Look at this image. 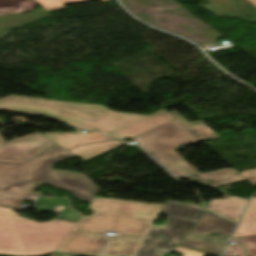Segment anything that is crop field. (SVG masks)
Instances as JSON below:
<instances>
[{
	"label": "crop field",
	"mask_w": 256,
	"mask_h": 256,
	"mask_svg": "<svg viewBox=\"0 0 256 256\" xmlns=\"http://www.w3.org/2000/svg\"><path fill=\"white\" fill-rule=\"evenodd\" d=\"M95 212L82 217L55 251L100 256L106 232L109 239L104 256H135L163 205L95 198Z\"/></svg>",
	"instance_id": "crop-field-1"
},
{
	"label": "crop field",
	"mask_w": 256,
	"mask_h": 256,
	"mask_svg": "<svg viewBox=\"0 0 256 256\" xmlns=\"http://www.w3.org/2000/svg\"><path fill=\"white\" fill-rule=\"evenodd\" d=\"M0 110L40 115L119 139L134 138L175 119L163 109L150 116H143L114 112L99 105L16 95L0 99Z\"/></svg>",
	"instance_id": "crop-field-2"
},
{
	"label": "crop field",
	"mask_w": 256,
	"mask_h": 256,
	"mask_svg": "<svg viewBox=\"0 0 256 256\" xmlns=\"http://www.w3.org/2000/svg\"><path fill=\"white\" fill-rule=\"evenodd\" d=\"M58 144L22 164L0 163V206L17 209L30 200L35 184H51L92 202L97 187L83 174L52 169L53 163L74 158Z\"/></svg>",
	"instance_id": "crop-field-3"
},
{
	"label": "crop field",
	"mask_w": 256,
	"mask_h": 256,
	"mask_svg": "<svg viewBox=\"0 0 256 256\" xmlns=\"http://www.w3.org/2000/svg\"><path fill=\"white\" fill-rule=\"evenodd\" d=\"M192 134L175 119L132 140L177 179L189 177L213 187L247 180L234 169L200 175L174 151L185 144L199 141Z\"/></svg>",
	"instance_id": "crop-field-4"
},
{
	"label": "crop field",
	"mask_w": 256,
	"mask_h": 256,
	"mask_svg": "<svg viewBox=\"0 0 256 256\" xmlns=\"http://www.w3.org/2000/svg\"><path fill=\"white\" fill-rule=\"evenodd\" d=\"M75 224L62 220L38 223L17 216L12 209L0 207V254H48L56 249Z\"/></svg>",
	"instance_id": "crop-field-5"
},
{
	"label": "crop field",
	"mask_w": 256,
	"mask_h": 256,
	"mask_svg": "<svg viewBox=\"0 0 256 256\" xmlns=\"http://www.w3.org/2000/svg\"><path fill=\"white\" fill-rule=\"evenodd\" d=\"M207 210L194 204L167 201L161 214L168 216L164 226H152L136 256H162L200 220Z\"/></svg>",
	"instance_id": "crop-field-6"
},
{
	"label": "crop field",
	"mask_w": 256,
	"mask_h": 256,
	"mask_svg": "<svg viewBox=\"0 0 256 256\" xmlns=\"http://www.w3.org/2000/svg\"><path fill=\"white\" fill-rule=\"evenodd\" d=\"M234 227L235 224L213 213H207L173 252L185 256H204L207 253L221 256ZM214 232L222 236H209Z\"/></svg>",
	"instance_id": "crop-field-7"
},
{
	"label": "crop field",
	"mask_w": 256,
	"mask_h": 256,
	"mask_svg": "<svg viewBox=\"0 0 256 256\" xmlns=\"http://www.w3.org/2000/svg\"><path fill=\"white\" fill-rule=\"evenodd\" d=\"M52 143L54 142L38 133L8 143L0 138V161L24 162Z\"/></svg>",
	"instance_id": "crop-field-8"
},
{
	"label": "crop field",
	"mask_w": 256,
	"mask_h": 256,
	"mask_svg": "<svg viewBox=\"0 0 256 256\" xmlns=\"http://www.w3.org/2000/svg\"><path fill=\"white\" fill-rule=\"evenodd\" d=\"M46 137L58 143L66 150H69L77 145L113 140V138L95 133H52L46 134Z\"/></svg>",
	"instance_id": "crop-field-9"
},
{
	"label": "crop field",
	"mask_w": 256,
	"mask_h": 256,
	"mask_svg": "<svg viewBox=\"0 0 256 256\" xmlns=\"http://www.w3.org/2000/svg\"><path fill=\"white\" fill-rule=\"evenodd\" d=\"M249 200L229 196L228 199L212 200L208 209L238 222Z\"/></svg>",
	"instance_id": "crop-field-10"
},
{
	"label": "crop field",
	"mask_w": 256,
	"mask_h": 256,
	"mask_svg": "<svg viewBox=\"0 0 256 256\" xmlns=\"http://www.w3.org/2000/svg\"><path fill=\"white\" fill-rule=\"evenodd\" d=\"M68 200V198H37L36 208L37 210L61 213L58 218L78 222L82 216L70 208L73 203L68 202ZM56 205L66 207L62 212L53 211Z\"/></svg>",
	"instance_id": "crop-field-11"
},
{
	"label": "crop field",
	"mask_w": 256,
	"mask_h": 256,
	"mask_svg": "<svg viewBox=\"0 0 256 256\" xmlns=\"http://www.w3.org/2000/svg\"><path fill=\"white\" fill-rule=\"evenodd\" d=\"M123 144H124L123 142H120L118 140H113V141L78 146L69 151L83 160H89L107 151L115 149Z\"/></svg>",
	"instance_id": "crop-field-12"
},
{
	"label": "crop field",
	"mask_w": 256,
	"mask_h": 256,
	"mask_svg": "<svg viewBox=\"0 0 256 256\" xmlns=\"http://www.w3.org/2000/svg\"><path fill=\"white\" fill-rule=\"evenodd\" d=\"M170 114L201 141L219 138L214 132H212L213 130L211 129V131L202 121L189 123L176 111H172Z\"/></svg>",
	"instance_id": "crop-field-13"
},
{
	"label": "crop field",
	"mask_w": 256,
	"mask_h": 256,
	"mask_svg": "<svg viewBox=\"0 0 256 256\" xmlns=\"http://www.w3.org/2000/svg\"><path fill=\"white\" fill-rule=\"evenodd\" d=\"M256 234V197L253 198L233 238Z\"/></svg>",
	"instance_id": "crop-field-14"
},
{
	"label": "crop field",
	"mask_w": 256,
	"mask_h": 256,
	"mask_svg": "<svg viewBox=\"0 0 256 256\" xmlns=\"http://www.w3.org/2000/svg\"><path fill=\"white\" fill-rule=\"evenodd\" d=\"M32 0H0V15L34 10Z\"/></svg>",
	"instance_id": "crop-field-15"
},
{
	"label": "crop field",
	"mask_w": 256,
	"mask_h": 256,
	"mask_svg": "<svg viewBox=\"0 0 256 256\" xmlns=\"http://www.w3.org/2000/svg\"><path fill=\"white\" fill-rule=\"evenodd\" d=\"M33 1L39 4L46 11H50V10L65 8L62 6L65 4L85 2V1H91V0H33ZM104 1H108V0H104Z\"/></svg>",
	"instance_id": "crop-field-16"
},
{
	"label": "crop field",
	"mask_w": 256,
	"mask_h": 256,
	"mask_svg": "<svg viewBox=\"0 0 256 256\" xmlns=\"http://www.w3.org/2000/svg\"><path fill=\"white\" fill-rule=\"evenodd\" d=\"M236 245L228 246L224 256H247L239 238L232 239Z\"/></svg>",
	"instance_id": "crop-field-17"
},
{
	"label": "crop field",
	"mask_w": 256,
	"mask_h": 256,
	"mask_svg": "<svg viewBox=\"0 0 256 256\" xmlns=\"http://www.w3.org/2000/svg\"><path fill=\"white\" fill-rule=\"evenodd\" d=\"M248 255L256 256V235L240 238Z\"/></svg>",
	"instance_id": "crop-field-18"
},
{
	"label": "crop field",
	"mask_w": 256,
	"mask_h": 256,
	"mask_svg": "<svg viewBox=\"0 0 256 256\" xmlns=\"http://www.w3.org/2000/svg\"><path fill=\"white\" fill-rule=\"evenodd\" d=\"M240 174L246 177L251 183L256 185V171L249 170V171L241 172Z\"/></svg>",
	"instance_id": "crop-field-19"
},
{
	"label": "crop field",
	"mask_w": 256,
	"mask_h": 256,
	"mask_svg": "<svg viewBox=\"0 0 256 256\" xmlns=\"http://www.w3.org/2000/svg\"><path fill=\"white\" fill-rule=\"evenodd\" d=\"M249 2H251L254 6H256V0H248Z\"/></svg>",
	"instance_id": "crop-field-20"
},
{
	"label": "crop field",
	"mask_w": 256,
	"mask_h": 256,
	"mask_svg": "<svg viewBox=\"0 0 256 256\" xmlns=\"http://www.w3.org/2000/svg\"><path fill=\"white\" fill-rule=\"evenodd\" d=\"M256 170V169H255Z\"/></svg>",
	"instance_id": "crop-field-21"
}]
</instances>
